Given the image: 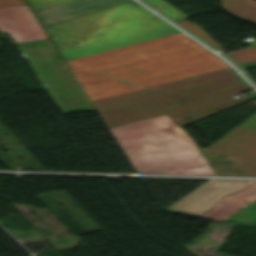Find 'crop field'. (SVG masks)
<instances>
[{
  "mask_svg": "<svg viewBox=\"0 0 256 256\" xmlns=\"http://www.w3.org/2000/svg\"><path fill=\"white\" fill-rule=\"evenodd\" d=\"M226 55H228L238 64L256 60V41L250 42V47L247 49L227 53Z\"/></svg>",
  "mask_w": 256,
  "mask_h": 256,
  "instance_id": "13",
  "label": "crop field"
},
{
  "mask_svg": "<svg viewBox=\"0 0 256 256\" xmlns=\"http://www.w3.org/2000/svg\"><path fill=\"white\" fill-rule=\"evenodd\" d=\"M67 64L90 100L228 67L181 33Z\"/></svg>",
  "mask_w": 256,
  "mask_h": 256,
  "instance_id": "2",
  "label": "crop field"
},
{
  "mask_svg": "<svg viewBox=\"0 0 256 256\" xmlns=\"http://www.w3.org/2000/svg\"><path fill=\"white\" fill-rule=\"evenodd\" d=\"M255 96L250 97V98H244V99H236V98H225V99H221V100H217V101H213V102H209L212 106H214L216 109H218L219 111H223L226 110L228 108L234 107L236 105L242 104L244 102L250 101L252 99L256 98V92L253 91L252 92Z\"/></svg>",
  "mask_w": 256,
  "mask_h": 256,
  "instance_id": "15",
  "label": "crop field"
},
{
  "mask_svg": "<svg viewBox=\"0 0 256 256\" xmlns=\"http://www.w3.org/2000/svg\"><path fill=\"white\" fill-rule=\"evenodd\" d=\"M175 33L179 32L149 13L54 40V43L68 61Z\"/></svg>",
  "mask_w": 256,
  "mask_h": 256,
  "instance_id": "4",
  "label": "crop field"
},
{
  "mask_svg": "<svg viewBox=\"0 0 256 256\" xmlns=\"http://www.w3.org/2000/svg\"><path fill=\"white\" fill-rule=\"evenodd\" d=\"M144 1L147 2L148 4L152 5L153 7H155L158 10L163 9L168 6H171L164 0H144Z\"/></svg>",
  "mask_w": 256,
  "mask_h": 256,
  "instance_id": "18",
  "label": "crop field"
},
{
  "mask_svg": "<svg viewBox=\"0 0 256 256\" xmlns=\"http://www.w3.org/2000/svg\"><path fill=\"white\" fill-rule=\"evenodd\" d=\"M34 12L71 0H27Z\"/></svg>",
  "mask_w": 256,
  "mask_h": 256,
  "instance_id": "16",
  "label": "crop field"
},
{
  "mask_svg": "<svg viewBox=\"0 0 256 256\" xmlns=\"http://www.w3.org/2000/svg\"><path fill=\"white\" fill-rule=\"evenodd\" d=\"M132 0H74L36 12L42 26L95 12Z\"/></svg>",
  "mask_w": 256,
  "mask_h": 256,
  "instance_id": "9",
  "label": "crop field"
},
{
  "mask_svg": "<svg viewBox=\"0 0 256 256\" xmlns=\"http://www.w3.org/2000/svg\"><path fill=\"white\" fill-rule=\"evenodd\" d=\"M237 77L239 75L228 67L92 103L107 128L165 113L182 127L219 112L207 102L251 90ZM187 116L191 117L183 119Z\"/></svg>",
  "mask_w": 256,
  "mask_h": 256,
  "instance_id": "3",
  "label": "crop field"
},
{
  "mask_svg": "<svg viewBox=\"0 0 256 256\" xmlns=\"http://www.w3.org/2000/svg\"><path fill=\"white\" fill-rule=\"evenodd\" d=\"M145 13L149 12L132 1L88 15L44 26V29L52 40H54ZM57 28H61L62 30L58 31Z\"/></svg>",
  "mask_w": 256,
  "mask_h": 256,
  "instance_id": "7",
  "label": "crop field"
},
{
  "mask_svg": "<svg viewBox=\"0 0 256 256\" xmlns=\"http://www.w3.org/2000/svg\"><path fill=\"white\" fill-rule=\"evenodd\" d=\"M224 221L253 226L256 222V201Z\"/></svg>",
  "mask_w": 256,
  "mask_h": 256,
  "instance_id": "12",
  "label": "crop field"
},
{
  "mask_svg": "<svg viewBox=\"0 0 256 256\" xmlns=\"http://www.w3.org/2000/svg\"><path fill=\"white\" fill-rule=\"evenodd\" d=\"M0 29L15 43L47 38L28 5L0 8Z\"/></svg>",
  "mask_w": 256,
  "mask_h": 256,
  "instance_id": "8",
  "label": "crop field"
},
{
  "mask_svg": "<svg viewBox=\"0 0 256 256\" xmlns=\"http://www.w3.org/2000/svg\"><path fill=\"white\" fill-rule=\"evenodd\" d=\"M162 13H164L165 15L169 16L170 18H172L173 20H178V19H182L187 17L185 14H183L181 11H179L178 9H176L175 7L171 6L168 8H165L163 10H160Z\"/></svg>",
  "mask_w": 256,
  "mask_h": 256,
  "instance_id": "17",
  "label": "crop field"
},
{
  "mask_svg": "<svg viewBox=\"0 0 256 256\" xmlns=\"http://www.w3.org/2000/svg\"><path fill=\"white\" fill-rule=\"evenodd\" d=\"M25 4L24 0H0V7L15 6Z\"/></svg>",
  "mask_w": 256,
  "mask_h": 256,
  "instance_id": "19",
  "label": "crop field"
},
{
  "mask_svg": "<svg viewBox=\"0 0 256 256\" xmlns=\"http://www.w3.org/2000/svg\"><path fill=\"white\" fill-rule=\"evenodd\" d=\"M179 24L183 25L187 29H189L191 32L202 38L204 41L209 43L210 45L214 46L215 48L221 50L224 47L219 45L216 41H214L210 36H208L196 23H190L184 19L176 21Z\"/></svg>",
  "mask_w": 256,
  "mask_h": 256,
  "instance_id": "14",
  "label": "crop field"
},
{
  "mask_svg": "<svg viewBox=\"0 0 256 256\" xmlns=\"http://www.w3.org/2000/svg\"><path fill=\"white\" fill-rule=\"evenodd\" d=\"M14 45L27 58L38 79L63 113L95 110L49 39Z\"/></svg>",
  "mask_w": 256,
  "mask_h": 256,
  "instance_id": "5",
  "label": "crop field"
},
{
  "mask_svg": "<svg viewBox=\"0 0 256 256\" xmlns=\"http://www.w3.org/2000/svg\"><path fill=\"white\" fill-rule=\"evenodd\" d=\"M255 182L256 181L210 179L165 211L201 217L205 211L227 194Z\"/></svg>",
  "mask_w": 256,
  "mask_h": 256,
  "instance_id": "6",
  "label": "crop field"
},
{
  "mask_svg": "<svg viewBox=\"0 0 256 256\" xmlns=\"http://www.w3.org/2000/svg\"><path fill=\"white\" fill-rule=\"evenodd\" d=\"M110 131L136 173L256 176V113L201 151L167 114Z\"/></svg>",
  "mask_w": 256,
  "mask_h": 256,
  "instance_id": "1",
  "label": "crop field"
},
{
  "mask_svg": "<svg viewBox=\"0 0 256 256\" xmlns=\"http://www.w3.org/2000/svg\"><path fill=\"white\" fill-rule=\"evenodd\" d=\"M222 5L232 15L256 23V1L222 0Z\"/></svg>",
  "mask_w": 256,
  "mask_h": 256,
  "instance_id": "11",
  "label": "crop field"
},
{
  "mask_svg": "<svg viewBox=\"0 0 256 256\" xmlns=\"http://www.w3.org/2000/svg\"><path fill=\"white\" fill-rule=\"evenodd\" d=\"M254 200H256V184L229 194L204 213L202 217L213 220H224L238 212L237 208H242ZM234 201L239 203L233 204Z\"/></svg>",
  "mask_w": 256,
  "mask_h": 256,
  "instance_id": "10",
  "label": "crop field"
}]
</instances>
